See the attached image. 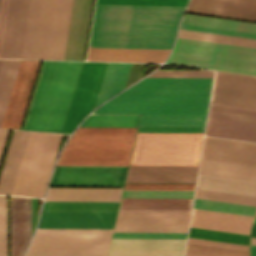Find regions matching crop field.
<instances>
[{"instance_id":"ac0d7876","label":"crop field","mask_w":256,"mask_h":256,"mask_svg":"<svg viewBox=\"0 0 256 256\" xmlns=\"http://www.w3.org/2000/svg\"><path fill=\"white\" fill-rule=\"evenodd\" d=\"M18 0H0V58H9ZM29 0H19L10 57H20ZM73 0H30L21 58L63 59Z\"/></svg>"},{"instance_id":"d23c7cc5","label":"crop field","mask_w":256,"mask_h":256,"mask_svg":"<svg viewBox=\"0 0 256 256\" xmlns=\"http://www.w3.org/2000/svg\"><path fill=\"white\" fill-rule=\"evenodd\" d=\"M251 256H256V246L251 245Z\"/></svg>"},{"instance_id":"bd1437ed","label":"crop field","mask_w":256,"mask_h":256,"mask_svg":"<svg viewBox=\"0 0 256 256\" xmlns=\"http://www.w3.org/2000/svg\"><path fill=\"white\" fill-rule=\"evenodd\" d=\"M178 37L256 48V39L180 29Z\"/></svg>"},{"instance_id":"cbeb9de0","label":"crop field","mask_w":256,"mask_h":256,"mask_svg":"<svg viewBox=\"0 0 256 256\" xmlns=\"http://www.w3.org/2000/svg\"><path fill=\"white\" fill-rule=\"evenodd\" d=\"M127 168L57 166L50 185L123 186Z\"/></svg>"},{"instance_id":"22f410ed","label":"crop field","mask_w":256,"mask_h":256,"mask_svg":"<svg viewBox=\"0 0 256 256\" xmlns=\"http://www.w3.org/2000/svg\"><path fill=\"white\" fill-rule=\"evenodd\" d=\"M108 63L84 62L62 132H73L94 107Z\"/></svg>"},{"instance_id":"00972430","label":"crop field","mask_w":256,"mask_h":256,"mask_svg":"<svg viewBox=\"0 0 256 256\" xmlns=\"http://www.w3.org/2000/svg\"><path fill=\"white\" fill-rule=\"evenodd\" d=\"M253 218L193 209L190 226L249 235Z\"/></svg>"},{"instance_id":"d32e631a","label":"crop field","mask_w":256,"mask_h":256,"mask_svg":"<svg viewBox=\"0 0 256 256\" xmlns=\"http://www.w3.org/2000/svg\"><path fill=\"white\" fill-rule=\"evenodd\" d=\"M188 237L249 245V236L190 227Z\"/></svg>"},{"instance_id":"d9b57169","label":"crop field","mask_w":256,"mask_h":256,"mask_svg":"<svg viewBox=\"0 0 256 256\" xmlns=\"http://www.w3.org/2000/svg\"><path fill=\"white\" fill-rule=\"evenodd\" d=\"M190 213H118L114 231L187 232Z\"/></svg>"},{"instance_id":"412701ff","label":"crop field","mask_w":256,"mask_h":256,"mask_svg":"<svg viewBox=\"0 0 256 256\" xmlns=\"http://www.w3.org/2000/svg\"><path fill=\"white\" fill-rule=\"evenodd\" d=\"M62 134L15 130L0 194L42 197Z\"/></svg>"},{"instance_id":"b54c1fbb","label":"crop field","mask_w":256,"mask_h":256,"mask_svg":"<svg viewBox=\"0 0 256 256\" xmlns=\"http://www.w3.org/2000/svg\"><path fill=\"white\" fill-rule=\"evenodd\" d=\"M8 131L9 130L0 129V157H1V153L3 150L4 144H5V141H6Z\"/></svg>"},{"instance_id":"425ffa30","label":"crop field","mask_w":256,"mask_h":256,"mask_svg":"<svg viewBox=\"0 0 256 256\" xmlns=\"http://www.w3.org/2000/svg\"><path fill=\"white\" fill-rule=\"evenodd\" d=\"M251 244L256 245V238L250 237Z\"/></svg>"},{"instance_id":"d3111659","label":"crop field","mask_w":256,"mask_h":256,"mask_svg":"<svg viewBox=\"0 0 256 256\" xmlns=\"http://www.w3.org/2000/svg\"><path fill=\"white\" fill-rule=\"evenodd\" d=\"M21 60H3L0 68V126Z\"/></svg>"},{"instance_id":"028f5c9d","label":"crop field","mask_w":256,"mask_h":256,"mask_svg":"<svg viewBox=\"0 0 256 256\" xmlns=\"http://www.w3.org/2000/svg\"><path fill=\"white\" fill-rule=\"evenodd\" d=\"M188 0H97L96 3L185 6Z\"/></svg>"},{"instance_id":"eef30255","label":"crop field","mask_w":256,"mask_h":256,"mask_svg":"<svg viewBox=\"0 0 256 256\" xmlns=\"http://www.w3.org/2000/svg\"><path fill=\"white\" fill-rule=\"evenodd\" d=\"M185 256H249V246L188 238Z\"/></svg>"},{"instance_id":"3316defc","label":"crop field","mask_w":256,"mask_h":256,"mask_svg":"<svg viewBox=\"0 0 256 256\" xmlns=\"http://www.w3.org/2000/svg\"><path fill=\"white\" fill-rule=\"evenodd\" d=\"M112 229H38L26 256H106Z\"/></svg>"},{"instance_id":"25e5ab78","label":"crop field","mask_w":256,"mask_h":256,"mask_svg":"<svg viewBox=\"0 0 256 256\" xmlns=\"http://www.w3.org/2000/svg\"><path fill=\"white\" fill-rule=\"evenodd\" d=\"M253 223H256V217H255V220H254V222Z\"/></svg>"},{"instance_id":"dafd665d","label":"crop field","mask_w":256,"mask_h":256,"mask_svg":"<svg viewBox=\"0 0 256 256\" xmlns=\"http://www.w3.org/2000/svg\"><path fill=\"white\" fill-rule=\"evenodd\" d=\"M11 256H22L31 238V198L10 197Z\"/></svg>"},{"instance_id":"4a817a6b","label":"crop field","mask_w":256,"mask_h":256,"mask_svg":"<svg viewBox=\"0 0 256 256\" xmlns=\"http://www.w3.org/2000/svg\"><path fill=\"white\" fill-rule=\"evenodd\" d=\"M40 61L22 60L1 127L19 129Z\"/></svg>"},{"instance_id":"34b2d1b8","label":"crop field","mask_w":256,"mask_h":256,"mask_svg":"<svg viewBox=\"0 0 256 256\" xmlns=\"http://www.w3.org/2000/svg\"><path fill=\"white\" fill-rule=\"evenodd\" d=\"M184 8L96 4L89 47L170 49Z\"/></svg>"},{"instance_id":"d1516ede","label":"crop field","mask_w":256,"mask_h":256,"mask_svg":"<svg viewBox=\"0 0 256 256\" xmlns=\"http://www.w3.org/2000/svg\"><path fill=\"white\" fill-rule=\"evenodd\" d=\"M205 135L256 142V109L210 103Z\"/></svg>"},{"instance_id":"b80d0937","label":"crop field","mask_w":256,"mask_h":256,"mask_svg":"<svg viewBox=\"0 0 256 256\" xmlns=\"http://www.w3.org/2000/svg\"><path fill=\"white\" fill-rule=\"evenodd\" d=\"M0 256H7L6 197L0 196Z\"/></svg>"},{"instance_id":"0bd39190","label":"crop field","mask_w":256,"mask_h":256,"mask_svg":"<svg viewBox=\"0 0 256 256\" xmlns=\"http://www.w3.org/2000/svg\"><path fill=\"white\" fill-rule=\"evenodd\" d=\"M195 184H125L124 189L194 190Z\"/></svg>"},{"instance_id":"bc2a9ffb","label":"crop field","mask_w":256,"mask_h":256,"mask_svg":"<svg viewBox=\"0 0 256 256\" xmlns=\"http://www.w3.org/2000/svg\"><path fill=\"white\" fill-rule=\"evenodd\" d=\"M198 166L130 165L126 182L195 183Z\"/></svg>"},{"instance_id":"733c2abd","label":"crop field","mask_w":256,"mask_h":256,"mask_svg":"<svg viewBox=\"0 0 256 256\" xmlns=\"http://www.w3.org/2000/svg\"><path fill=\"white\" fill-rule=\"evenodd\" d=\"M186 239H112L108 256H184Z\"/></svg>"},{"instance_id":"f4fd0767","label":"crop field","mask_w":256,"mask_h":256,"mask_svg":"<svg viewBox=\"0 0 256 256\" xmlns=\"http://www.w3.org/2000/svg\"><path fill=\"white\" fill-rule=\"evenodd\" d=\"M82 63L44 62L24 129L62 131Z\"/></svg>"},{"instance_id":"92a150f3","label":"crop field","mask_w":256,"mask_h":256,"mask_svg":"<svg viewBox=\"0 0 256 256\" xmlns=\"http://www.w3.org/2000/svg\"><path fill=\"white\" fill-rule=\"evenodd\" d=\"M187 12L256 22V0H192Z\"/></svg>"},{"instance_id":"a9b5d70f","label":"crop field","mask_w":256,"mask_h":256,"mask_svg":"<svg viewBox=\"0 0 256 256\" xmlns=\"http://www.w3.org/2000/svg\"><path fill=\"white\" fill-rule=\"evenodd\" d=\"M193 199L122 198L118 212H190Z\"/></svg>"},{"instance_id":"1d83c4d3","label":"crop field","mask_w":256,"mask_h":256,"mask_svg":"<svg viewBox=\"0 0 256 256\" xmlns=\"http://www.w3.org/2000/svg\"><path fill=\"white\" fill-rule=\"evenodd\" d=\"M139 115H90L81 126L137 127Z\"/></svg>"},{"instance_id":"c035e120","label":"crop field","mask_w":256,"mask_h":256,"mask_svg":"<svg viewBox=\"0 0 256 256\" xmlns=\"http://www.w3.org/2000/svg\"><path fill=\"white\" fill-rule=\"evenodd\" d=\"M212 74L213 71H157L148 77H212Z\"/></svg>"},{"instance_id":"03da06ac","label":"crop field","mask_w":256,"mask_h":256,"mask_svg":"<svg viewBox=\"0 0 256 256\" xmlns=\"http://www.w3.org/2000/svg\"><path fill=\"white\" fill-rule=\"evenodd\" d=\"M204 127H139L138 132H203Z\"/></svg>"},{"instance_id":"120bbe31","label":"crop field","mask_w":256,"mask_h":256,"mask_svg":"<svg viewBox=\"0 0 256 256\" xmlns=\"http://www.w3.org/2000/svg\"><path fill=\"white\" fill-rule=\"evenodd\" d=\"M193 208L227 212V213H235V214H243V215H251V216H254L255 210H256V207L254 206H247V205L198 199V198H195Z\"/></svg>"},{"instance_id":"5a996713","label":"crop field","mask_w":256,"mask_h":256,"mask_svg":"<svg viewBox=\"0 0 256 256\" xmlns=\"http://www.w3.org/2000/svg\"><path fill=\"white\" fill-rule=\"evenodd\" d=\"M203 133H138L130 164L198 165Z\"/></svg>"},{"instance_id":"28ad6ade","label":"crop field","mask_w":256,"mask_h":256,"mask_svg":"<svg viewBox=\"0 0 256 256\" xmlns=\"http://www.w3.org/2000/svg\"><path fill=\"white\" fill-rule=\"evenodd\" d=\"M119 202H45L38 228H112Z\"/></svg>"},{"instance_id":"730fd06b","label":"crop field","mask_w":256,"mask_h":256,"mask_svg":"<svg viewBox=\"0 0 256 256\" xmlns=\"http://www.w3.org/2000/svg\"><path fill=\"white\" fill-rule=\"evenodd\" d=\"M122 189L49 188L45 201H119Z\"/></svg>"},{"instance_id":"5d738f31","label":"crop field","mask_w":256,"mask_h":256,"mask_svg":"<svg viewBox=\"0 0 256 256\" xmlns=\"http://www.w3.org/2000/svg\"><path fill=\"white\" fill-rule=\"evenodd\" d=\"M250 236L256 237V224H253L250 231Z\"/></svg>"},{"instance_id":"e52e79f7","label":"crop field","mask_w":256,"mask_h":256,"mask_svg":"<svg viewBox=\"0 0 256 256\" xmlns=\"http://www.w3.org/2000/svg\"><path fill=\"white\" fill-rule=\"evenodd\" d=\"M199 174L256 181V166L201 159ZM203 175L195 197L256 206V182Z\"/></svg>"},{"instance_id":"4177f3b9","label":"crop field","mask_w":256,"mask_h":256,"mask_svg":"<svg viewBox=\"0 0 256 256\" xmlns=\"http://www.w3.org/2000/svg\"><path fill=\"white\" fill-rule=\"evenodd\" d=\"M168 52L169 50L89 48L87 59L162 62Z\"/></svg>"},{"instance_id":"750c4746","label":"crop field","mask_w":256,"mask_h":256,"mask_svg":"<svg viewBox=\"0 0 256 256\" xmlns=\"http://www.w3.org/2000/svg\"><path fill=\"white\" fill-rule=\"evenodd\" d=\"M182 23L256 33V24L186 14Z\"/></svg>"},{"instance_id":"dd49c442","label":"crop field","mask_w":256,"mask_h":256,"mask_svg":"<svg viewBox=\"0 0 256 256\" xmlns=\"http://www.w3.org/2000/svg\"><path fill=\"white\" fill-rule=\"evenodd\" d=\"M136 130L78 127L57 165L128 166Z\"/></svg>"},{"instance_id":"73cf0c24","label":"crop field","mask_w":256,"mask_h":256,"mask_svg":"<svg viewBox=\"0 0 256 256\" xmlns=\"http://www.w3.org/2000/svg\"><path fill=\"white\" fill-rule=\"evenodd\" d=\"M1 61H2V60H0V65H1Z\"/></svg>"},{"instance_id":"214f88e0","label":"crop field","mask_w":256,"mask_h":256,"mask_svg":"<svg viewBox=\"0 0 256 256\" xmlns=\"http://www.w3.org/2000/svg\"><path fill=\"white\" fill-rule=\"evenodd\" d=\"M201 158L256 165V143L205 137Z\"/></svg>"},{"instance_id":"8a807250","label":"crop field","mask_w":256,"mask_h":256,"mask_svg":"<svg viewBox=\"0 0 256 256\" xmlns=\"http://www.w3.org/2000/svg\"><path fill=\"white\" fill-rule=\"evenodd\" d=\"M212 78H146L93 113L206 114ZM206 115H142L139 126H204Z\"/></svg>"},{"instance_id":"5866460e","label":"crop field","mask_w":256,"mask_h":256,"mask_svg":"<svg viewBox=\"0 0 256 256\" xmlns=\"http://www.w3.org/2000/svg\"><path fill=\"white\" fill-rule=\"evenodd\" d=\"M194 191L124 190L122 197L193 198Z\"/></svg>"},{"instance_id":"ae1a2a85","label":"crop field","mask_w":256,"mask_h":256,"mask_svg":"<svg viewBox=\"0 0 256 256\" xmlns=\"http://www.w3.org/2000/svg\"><path fill=\"white\" fill-rule=\"evenodd\" d=\"M131 64L132 63L108 64L95 107L124 89Z\"/></svg>"},{"instance_id":"5142ce71","label":"crop field","mask_w":256,"mask_h":256,"mask_svg":"<svg viewBox=\"0 0 256 256\" xmlns=\"http://www.w3.org/2000/svg\"><path fill=\"white\" fill-rule=\"evenodd\" d=\"M210 102L256 108V77L215 72Z\"/></svg>"},{"instance_id":"e1f06a70","label":"crop field","mask_w":256,"mask_h":256,"mask_svg":"<svg viewBox=\"0 0 256 256\" xmlns=\"http://www.w3.org/2000/svg\"><path fill=\"white\" fill-rule=\"evenodd\" d=\"M187 233L114 232L112 238H186Z\"/></svg>"},{"instance_id":"c21b1889","label":"crop field","mask_w":256,"mask_h":256,"mask_svg":"<svg viewBox=\"0 0 256 256\" xmlns=\"http://www.w3.org/2000/svg\"><path fill=\"white\" fill-rule=\"evenodd\" d=\"M181 28H183V29H190V30L205 31V32H212V33L227 34V35H234V36L256 38V34L245 33V32H237V31H230V30H223V29H215V28H208V27L185 25V24H182Z\"/></svg>"},{"instance_id":"d8731c3e","label":"crop field","mask_w":256,"mask_h":256,"mask_svg":"<svg viewBox=\"0 0 256 256\" xmlns=\"http://www.w3.org/2000/svg\"><path fill=\"white\" fill-rule=\"evenodd\" d=\"M167 63L256 74V49L178 38Z\"/></svg>"}]
</instances>
